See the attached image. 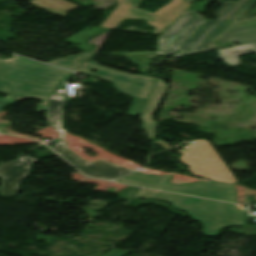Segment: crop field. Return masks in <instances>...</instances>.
Instances as JSON below:
<instances>
[{
	"instance_id": "21",
	"label": "crop field",
	"mask_w": 256,
	"mask_h": 256,
	"mask_svg": "<svg viewBox=\"0 0 256 256\" xmlns=\"http://www.w3.org/2000/svg\"><path fill=\"white\" fill-rule=\"evenodd\" d=\"M4 106H0V110L3 108Z\"/></svg>"
},
{
	"instance_id": "17",
	"label": "crop field",
	"mask_w": 256,
	"mask_h": 256,
	"mask_svg": "<svg viewBox=\"0 0 256 256\" xmlns=\"http://www.w3.org/2000/svg\"><path fill=\"white\" fill-rule=\"evenodd\" d=\"M125 254H127V252H125V251L113 250V251L109 252L108 254H106L105 256H123Z\"/></svg>"
},
{
	"instance_id": "13",
	"label": "crop field",
	"mask_w": 256,
	"mask_h": 256,
	"mask_svg": "<svg viewBox=\"0 0 256 256\" xmlns=\"http://www.w3.org/2000/svg\"><path fill=\"white\" fill-rule=\"evenodd\" d=\"M118 6L103 22L100 27L117 28V26L125 19L129 18L135 11L142 0H117Z\"/></svg>"
},
{
	"instance_id": "20",
	"label": "crop field",
	"mask_w": 256,
	"mask_h": 256,
	"mask_svg": "<svg viewBox=\"0 0 256 256\" xmlns=\"http://www.w3.org/2000/svg\"><path fill=\"white\" fill-rule=\"evenodd\" d=\"M114 54H155V51L138 52V53H114Z\"/></svg>"
},
{
	"instance_id": "10",
	"label": "crop field",
	"mask_w": 256,
	"mask_h": 256,
	"mask_svg": "<svg viewBox=\"0 0 256 256\" xmlns=\"http://www.w3.org/2000/svg\"><path fill=\"white\" fill-rule=\"evenodd\" d=\"M35 158L21 157L15 161L0 166V177L4 178L0 189L1 196H9L17 191L21 178L27 175L29 163Z\"/></svg>"
},
{
	"instance_id": "1",
	"label": "crop field",
	"mask_w": 256,
	"mask_h": 256,
	"mask_svg": "<svg viewBox=\"0 0 256 256\" xmlns=\"http://www.w3.org/2000/svg\"><path fill=\"white\" fill-rule=\"evenodd\" d=\"M71 71L48 66L23 57L0 60V82L8 83L14 102L25 98L42 101L37 111H47L56 85Z\"/></svg>"
},
{
	"instance_id": "6",
	"label": "crop field",
	"mask_w": 256,
	"mask_h": 256,
	"mask_svg": "<svg viewBox=\"0 0 256 256\" xmlns=\"http://www.w3.org/2000/svg\"><path fill=\"white\" fill-rule=\"evenodd\" d=\"M254 5H256V0L224 2L223 5L213 13L217 15L216 21L207 20L206 23L192 36L191 39L186 40L180 52L204 51L208 41H213L230 25H232L234 20L240 18Z\"/></svg>"
},
{
	"instance_id": "8",
	"label": "crop field",
	"mask_w": 256,
	"mask_h": 256,
	"mask_svg": "<svg viewBox=\"0 0 256 256\" xmlns=\"http://www.w3.org/2000/svg\"><path fill=\"white\" fill-rule=\"evenodd\" d=\"M189 13L194 15L189 16ZM205 20L192 9L189 10L166 32L160 35L158 54L178 51L183 40L188 38Z\"/></svg>"
},
{
	"instance_id": "7",
	"label": "crop field",
	"mask_w": 256,
	"mask_h": 256,
	"mask_svg": "<svg viewBox=\"0 0 256 256\" xmlns=\"http://www.w3.org/2000/svg\"><path fill=\"white\" fill-rule=\"evenodd\" d=\"M183 149L181 160L189 166L194 176L229 183L237 182L208 141L197 140Z\"/></svg>"
},
{
	"instance_id": "18",
	"label": "crop field",
	"mask_w": 256,
	"mask_h": 256,
	"mask_svg": "<svg viewBox=\"0 0 256 256\" xmlns=\"http://www.w3.org/2000/svg\"><path fill=\"white\" fill-rule=\"evenodd\" d=\"M0 93L10 95L7 84L0 83Z\"/></svg>"
},
{
	"instance_id": "4",
	"label": "crop field",
	"mask_w": 256,
	"mask_h": 256,
	"mask_svg": "<svg viewBox=\"0 0 256 256\" xmlns=\"http://www.w3.org/2000/svg\"><path fill=\"white\" fill-rule=\"evenodd\" d=\"M171 176L157 177L134 172L115 181L236 203L235 189L232 184L216 181L209 183L199 181L190 185H171L165 183Z\"/></svg>"
},
{
	"instance_id": "14",
	"label": "crop field",
	"mask_w": 256,
	"mask_h": 256,
	"mask_svg": "<svg viewBox=\"0 0 256 256\" xmlns=\"http://www.w3.org/2000/svg\"><path fill=\"white\" fill-rule=\"evenodd\" d=\"M254 52H256V43L217 51L219 57L229 66L240 65L237 56Z\"/></svg>"
},
{
	"instance_id": "12",
	"label": "crop field",
	"mask_w": 256,
	"mask_h": 256,
	"mask_svg": "<svg viewBox=\"0 0 256 256\" xmlns=\"http://www.w3.org/2000/svg\"><path fill=\"white\" fill-rule=\"evenodd\" d=\"M220 38L226 43L237 40L240 45L256 42V19L235 23Z\"/></svg>"
},
{
	"instance_id": "2",
	"label": "crop field",
	"mask_w": 256,
	"mask_h": 256,
	"mask_svg": "<svg viewBox=\"0 0 256 256\" xmlns=\"http://www.w3.org/2000/svg\"><path fill=\"white\" fill-rule=\"evenodd\" d=\"M138 197L168 201L202 222L204 235H217L223 227L244 225L243 213L234 204L198 199L185 195L143 189Z\"/></svg>"
},
{
	"instance_id": "5",
	"label": "crop field",
	"mask_w": 256,
	"mask_h": 256,
	"mask_svg": "<svg viewBox=\"0 0 256 256\" xmlns=\"http://www.w3.org/2000/svg\"><path fill=\"white\" fill-rule=\"evenodd\" d=\"M97 69L100 72L95 74L89 70ZM76 72L95 76L115 84L116 90L133 97L132 107L128 115L135 117L140 114L143 105L153 87L156 78L136 74H128L105 67L97 66L94 62L88 61Z\"/></svg>"
},
{
	"instance_id": "19",
	"label": "crop field",
	"mask_w": 256,
	"mask_h": 256,
	"mask_svg": "<svg viewBox=\"0 0 256 256\" xmlns=\"http://www.w3.org/2000/svg\"><path fill=\"white\" fill-rule=\"evenodd\" d=\"M12 102H13L12 99H0V105L6 106Z\"/></svg>"
},
{
	"instance_id": "11",
	"label": "crop field",
	"mask_w": 256,
	"mask_h": 256,
	"mask_svg": "<svg viewBox=\"0 0 256 256\" xmlns=\"http://www.w3.org/2000/svg\"><path fill=\"white\" fill-rule=\"evenodd\" d=\"M164 82V80H156L151 94L139 117L145 123L142 129L148 132V136L152 141L154 140V136L158 126L157 122L153 120L152 116L158 110V105L160 101L167 94V91L169 89V86L167 84H164Z\"/></svg>"
},
{
	"instance_id": "15",
	"label": "crop field",
	"mask_w": 256,
	"mask_h": 256,
	"mask_svg": "<svg viewBox=\"0 0 256 256\" xmlns=\"http://www.w3.org/2000/svg\"><path fill=\"white\" fill-rule=\"evenodd\" d=\"M30 3L60 16H65L68 10L78 7L64 0H32Z\"/></svg>"
},
{
	"instance_id": "3",
	"label": "crop field",
	"mask_w": 256,
	"mask_h": 256,
	"mask_svg": "<svg viewBox=\"0 0 256 256\" xmlns=\"http://www.w3.org/2000/svg\"><path fill=\"white\" fill-rule=\"evenodd\" d=\"M64 99L65 97L63 95L53 94L48 103V116L52 120V125L60 130L61 136L60 142L53 150L90 177L113 180L133 172L132 170H128L119 165L110 164L103 160L85 162L70 149H68L62 135L63 112L60 110V108L62 105H64Z\"/></svg>"
},
{
	"instance_id": "9",
	"label": "crop field",
	"mask_w": 256,
	"mask_h": 256,
	"mask_svg": "<svg viewBox=\"0 0 256 256\" xmlns=\"http://www.w3.org/2000/svg\"><path fill=\"white\" fill-rule=\"evenodd\" d=\"M193 1L171 0L165 6L159 8L156 13L137 8L130 18L147 20L148 25L155 27L153 33H159L179 17Z\"/></svg>"
},
{
	"instance_id": "16",
	"label": "crop field",
	"mask_w": 256,
	"mask_h": 256,
	"mask_svg": "<svg viewBox=\"0 0 256 256\" xmlns=\"http://www.w3.org/2000/svg\"><path fill=\"white\" fill-rule=\"evenodd\" d=\"M90 56H91L90 53L85 52V53L76 55L74 57H70V58H66V59L50 62V64L57 65V66H60V67H63V68H66V69L74 71L75 68L78 65L81 64L79 61L85 60V59L89 58Z\"/></svg>"
}]
</instances>
